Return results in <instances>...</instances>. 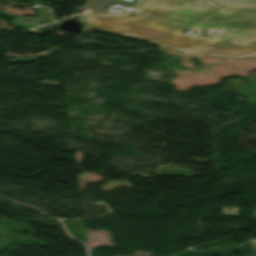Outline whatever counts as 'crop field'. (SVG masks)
<instances>
[{
    "label": "crop field",
    "instance_id": "3",
    "mask_svg": "<svg viewBox=\"0 0 256 256\" xmlns=\"http://www.w3.org/2000/svg\"><path fill=\"white\" fill-rule=\"evenodd\" d=\"M250 243L256 248V240H251Z\"/></svg>",
    "mask_w": 256,
    "mask_h": 256
},
{
    "label": "crop field",
    "instance_id": "1",
    "mask_svg": "<svg viewBox=\"0 0 256 256\" xmlns=\"http://www.w3.org/2000/svg\"><path fill=\"white\" fill-rule=\"evenodd\" d=\"M217 32L213 39L177 33V24L140 14L86 15L90 27L164 46L192 56H256V0H147L137 11Z\"/></svg>",
    "mask_w": 256,
    "mask_h": 256
},
{
    "label": "crop field",
    "instance_id": "2",
    "mask_svg": "<svg viewBox=\"0 0 256 256\" xmlns=\"http://www.w3.org/2000/svg\"><path fill=\"white\" fill-rule=\"evenodd\" d=\"M107 2H114L127 5L129 7H134L136 3L124 1V0H87L84 8L91 9L95 11L94 13H100L101 9L105 6Z\"/></svg>",
    "mask_w": 256,
    "mask_h": 256
}]
</instances>
